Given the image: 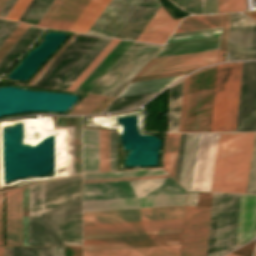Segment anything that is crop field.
Segmentation results:
<instances>
[{"instance_id":"1","label":"crop field","mask_w":256,"mask_h":256,"mask_svg":"<svg viewBox=\"0 0 256 256\" xmlns=\"http://www.w3.org/2000/svg\"><path fill=\"white\" fill-rule=\"evenodd\" d=\"M81 245V175L45 183V246Z\"/></svg>"},{"instance_id":"2","label":"crop field","mask_w":256,"mask_h":256,"mask_svg":"<svg viewBox=\"0 0 256 256\" xmlns=\"http://www.w3.org/2000/svg\"><path fill=\"white\" fill-rule=\"evenodd\" d=\"M254 133H219L211 191L245 193Z\"/></svg>"},{"instance_id":"3","label":"crop field","mask_w":256,"mask_h":256,"mask_svg":"<svg viewBox=\"0 0 256 256\" xmlns=\"http://www.w3.org/2000/svg\"><path fill=\"white\" fill-rule=\"evenodd\" d=\"M241 66L218 65L211 131H235Z\"/></svg>"},{"instance_id":"4","label":"crop field","mask_w":256,"mask_h":256,"mask_svg":"<svg viewBox=\"0 0 256 256\" xmlns=\"http://www.w3.org/2000/svg\"><path fill=\"white\" fill-rule=\"evenodd\" d=\"M161 47L134 42L89 93L116 97Z\"/></svg>"},{"instance_id":"5","label":"crop field","mask_w":256,"mask_h":256,"mask_svg":"<svg viewBox=\"0 0 256 256\" xmlns=\"http://www.w3.org/2000/svg\"><path fill=\"white\" fill-rule=\"evenodd\" d=\"M186 193L171 178L83 184V200Z\"/></svg>"},{"instance_id":"6","label":"crop field","mask_w":256,"mask_h":256,"mask_svg":"<svg viewBox=\"0 0 256 256\" xmlns=\"http://www.w3.org/2000/svg\"><path fill=\"white\" fill-rule=\"evenodd\" d=\"M184 205L83 212V224L183 218Z\"/></svg>"},{"instance_id":"7","label":"crop field","mask_w":256,"mask_h":256,"mask_svg":"<svg viewBox=\"0 0 256 256\" xmlns=\"http://www.w3.org/2000/svg\"><path fill=\"white\" fill-rule=\"evenodd\" d=\"M98 38L78 34L32 85L53 88Z\"/></svg>"},{"instance_id":"8","label":"crop field","mask_w":256,"mask_h":256,"mask_svg":"<svg viewBox=\"0 0 256 256\" xmlns=\"http://www.w3.org/2000/svg\"><path fill=\"white\" fill-rule=\"evenodd\" d=\"M210 208L186 207L181 256H205Z\"/></svg>"},{"instance_id":"9","label":"crop field","mask_w":256,"mask_h":256,"mask_svg":"<svg viewBox=\"0 0 256 256\" xmlns=\"http://www.w3.org/2000/svg\"><path fill=\"white\" fill-rule=\"evenodd\" d=\"M218 133H199L190 190L210 191Z\"/></svg>"},{"instance_id":"10","label":"crop field","mask_w":256,"mask_h":256,"mask_svg":"<svg viewBox=\"0 0 256 256\" xmlns=\"http://www.w3.org/2000/svg\"><path fill=\"white\" fill-rule=\"evenodd\" d=\"M240 195L221 194L215 255L234 249Z\"/></svg>"},{"instance_id":"11","label":"crop field","mask_w":256,"mask_h":256,"mask_svg":"<svg viewBox=\"0 0 256 256\" xmlns=\"http://www.w3.org/2000/svg\"><path fill=\"white\" fill-rule=\"evenodd\" d=\"M218 53L219 50H216L151 59L136 77L200 68L217 63Z\"/></svg>"},{"instance_id":"12","label":"crop field","mask_w":256,"mask_h":256,"mask_svg":"<svg viewBox=\"0 0 256 256\" xmlns=\"http://www.w3.org/2000/svg\"><path fill=\"white\" fill-rule=\"evenodd\" d=\"M140 1L111 0L87 33L114 37Z\"/></svg>"},{"instance_id":"13","label":"crop field","mask_w":256,"mask_h":256,"mask_svg":"<svg viewBox=\"0 0 256 256\" xmlns=\"http://www.w3.org/2000/svg\"><path fill=\"white\" fill-rule=\"evenodd\" d=\"M254 21L231 14L226 61L249 60Z\"/></svg>"},{"instance_id":"14","label":"crop field","mask_w":256,"mask_h":256,"mask_svg":"<svg viewBox=\"0 0 256 256\" xmlns=\"http://www.w3.org/2000/svg\"><path fill=\"white\" fill-rule=\"evenodd\" d=\"M185 194L83 201V211L184 204Z\"/></svg>"},{"instance_id":"15","label":"crop field","mask_w":256,"mask_h":256,"mask_svg":"<svg viewBox=\"0 0 256 256\" xmlns=\"http://www.w3.org/2000/svg\"><path fill=\"white\" fill-rule=\"evenodd\" d=\"M6 246H22V188L6 192Z\"/></svg>"},{"instance_id":"16","label":"crop field","mask_w":256,"mask_h":256,"mask_svg":"<svg viewBox=\"0 0 256 256\" xmlns=\"http://www.w3.org/2000/svg\"><path fill=\"white\" fill-rule=\"evenodd\" d=\"M183 219L83 225V234L182 228Z\"/></svg>"},{"instance_id":"17","label":"crop field","mask_w":256,"mask_h":256,"mask_svg":"<svg viewBox=\"0 0 256 256\" xmlns=\"http://www.w3.org/2000/svg\"><path fill=\"white\" fill-rule=\"evenodd\" d=\"M30 246H44V183L29 187Z\"/></svg>"},{"instance_id":"18","label":"crop field","mask_w":256,"mask_h":256,"mask_svg":"<svg viewBox=\"0 0 256 256\" xmlns=\"http://www.w3.org/2000/svg\"><path fill=\"white\" fill-rule=\"evenodd\" d=\"M159 7L157 0H142L115 37L136 40Z\"/></svg>"},{"instance_id":"19","label":"crop field","mask_w":256,"mask_h":256,"mask_svg":"<svg viewBox=\"0 0 256 256\" xmlns=\"http://www.w3.org/2000/svg\"><path fill=\"white\" fill-rule=\"evenodd\" d=\"M256 232V196L241 195L235 248L250 241Z\"/></svg>"},{"instance_id":"20","label":"crop field","mask_w":256,"mask_h":256,"mask_svg":"<svg viewBox=\"0 0 256 256\" xmlns=\"http://www.w3.org/2000/svg\"><path fill=\"white\" fill-rule=\"evenodd\" d=\"M180 22L174 21L161 7L137 38L139 41L164 44Z\"/></svg>"},{"instance_id":"21","label":"crop field","mask_w":256,"mask_h":256,"mask_svg":"<svg viewBox=\"0 0 256 256\" xmlns=\"http://www.w3.org/2000/svg\"><path fill=\"white\" fill-rule=\"evenodd\" d=\"M90 0H63L45 28L68 31Z\"/></svg>"},{"instance_id":"22","label":"crop field","mask_w":256,"mask_h":256,"mask_svg":"<svg viewBox=\"0 0 256 256\" xmlns=\"http://www.w3.org/2000/svg\"><path fill=\"white\" fill-rule=\"evenodd\" d=\"M180 245L90 251L84 252V256H179Z\"/></svg>"},{"instance_id":"23","label":"crop field","mask_w":256,"mask_h":256,"mask_svg":"<svg viewBox=\"0 0 256 256\" xmlns=\"http://www.w3.org/2000/svg\"><path fill=\"white\" fill-rule=\"evenodd\" d=\"M111 40L100 37L54 88L66 90Z\"/></svg>"},{"instance_id":"24","label":"crop field","mask_w":256,"mask_h":256,"mask_svg":"<svg viewBox=\"0 0 256 256\" xmlns=\"http://www.w3.org/2000/svg\"><path fill=\"white\" fill-rule=\"evenodd\" d=\"M220 36L165 44L157 56L219 48Z\"/></svg>"},{"instance_id":"25","label":"crop field","mask_w":256,"mask_h":256,"mask_svg":"<svg viewBox=\"0 0 256 256\" xmlns=\"http://www.w3.org/2000/svg\"><path fill=\"white\" fill-rule=\"evenodd\" d=\"M125 41V40H124ZM125 42L120 41L116 47L104 58V60L92 71V73L76 89L81 91L86 84L97 74V72L109 61V59L120 49ZM133 42L127 41L121 49L110 59V61L98 72V74L81 91L88 93L92 87L101 79V77L110 69V67L120 58V56L129 48Z\"/></svg>"},{"instance_id":"26","label":"crop field","mask_w":256,"mask_h":256,"mask_svg":"<svg viewBox=\"0 0 256 256\" xmlns=\"http://www.w3.org/2000/svg\"><path fill=\"white\" fill-rule=\"evenodd\" d=\"M44 29L30 26L16 44L0 61V77L22 55Z\"/></svg>"},{"instance_id":"27","label":"crop field","mask_w":256,"mask_h":256,"mask_svg":"<svg viewBox=\"0 0 256 256\" xmlns=\"http://www.w3.org/2000/svg\"><path fill=\"white\" fill-rule=\"evenodd\" d=\"M98 171V130L83 129V172Z\"/></svg>"},{"instance_id":"28","label":"crop field","mask_w":256,"mask_h":256,"mask_svg":"<svg viewBox=\"0 0 256 256\" xmlns=\"http://www.w3.org/2000/svg\"><path fill=\"white\" fill-rule=\"evenodd\" d=\"M198 133L186 134L179 182L189 190Z\"/></svg>"},{"instance_id":"29","label":"crop field","mask_w":256,"mask_h":256,"mask_svg":"<svg viewBox=\"0 0 256 256\" xmlns=\"http://www.w3.org/2000/svg\"><path fill=\"white\" fill-rule=\"evenodd\" d=\"M182 76L129 83L118 97L161 91L173 81L179 79Z\"/></svg>"},{"instance_id":"30","label":"crop field","mask_w":256,"mask_h":256,"mask_svg":"<svg viewBox=\"0 0 256 256\" xmlns=\"http://www.w3.org/2000/svg\"><path fill=\"white\" fill-rule=\"evenodd\" d=\"M110 0H91L69 31L86 33Z\"/></svg>"},{"instance_id":"31","label":"crop field","mask_w":256,"mask_h":256,"mask_svg":"<svg viewBox=\"0 0 256 256\" xmlns=\"http://www.w3.org/2000/svg\"><path fill=\"white\" fill-rule=\"evenodd\" d=\"M180 241H181V238H175V239L133 241V242H120V243L92 244V245H84V251L174 245V244H180Z\"/></svg>"},{"instance_id":"32","label":"crop field","mask_w":256,"mask_h":256,"mask_svg":"<svg viewBox=\"0 0 256 256\" xmlns=\"http://www.w3.org/2000/svg\"><path fill=\"white\" fill-rule=\"evenodd\" d=\"M222 20L223 15L189 16L182 21L174 33L222 26Z\"/></svg>"},{"instance_id":"33","label":"crop field","mask_w":256,"mask_h":256,"mask_svg":"<svg viewBox=\"0 0 256 256\" xmlns=\"http://www.w3.org/2000/svg\"><path fill=\"white\" fill-rule=\"evenodd\" d=\"M183 79L172 86L169 117V132H178Z\"/></svg>"},{"instance_id":"34","label":"crop field","mask_w":256,"mask_h":256,"mask_svg":"<svg viewBox=\"0 0 256 256\" xmlns=\"http://www.w3.org/2000/svg\"><path fill=\"white\" fill-rule=\"evenodd\" d=\"M159 93V92H157ZM157 93L142 94L128 97L116 98L108 107H106L102 112H109L113 110L129 109L132 107L140 106L149 100L151 97Z\"/></svg>"},{"instance_id":"35","label":"crop field","mask_w":256,"mask_h":256,"mask_svg":"<svg viewBox=\"0 0 256 256\" xmlns=\"http://www.w3.org/2000/svg\"><path fill=\"white\" fill-rule=\"evenodd\" d=\"M167 174L162 169L83 174V180Z\"/></svg>"},{"instance_id":"36","label":"crop field","mask_w":256,"mask_h":256,"mask_svg":"<svg viewBox=\"0 0 256 256\" xmlns=\"http://www.w3.org/2000/svg\"><path fill=\"white\" fill-rule=\"evenodd\" d=\"M220 194L213 193L206 256L214 255Z\"/></svg>"},{"instance_id":"37","label":"crop field","mask_w":256,"mask_h":256,"mask_svg":"<svg viewBox=\"0 0 256 256\" xmlns=\"http://www.w3.org/2000/svg\"><path fill=\"white\" fill-rule=\"evenodd\" d=\"M220 33H221V27L197 30V31H190V32H183V33H176V34H172V36L169 38L167 43L196 39V38H203V37H210V36H217V35H220Z\"/></svg>"},{"instance_id":"38","label":"crop field","mask_w":256,"mask_h":256,"mask_svg":"<svg viewBox=\"0 0 256 256\" xmlns=\"http://www.w3.org/2000/svg\"><path fill=\"white\" fill-rule=\"evenodd\" d=\"M109 170V130H99V171Z\"/></svg>"},{"instance_id":"39","label":"crop field","mask_w":256,"mask_h":256,"mask_svg":"<svg viewBox=\"0 0 256 256\" xmlns=\"http://www.w3.org/2000/svg\"><path fill=\"white\" fill-rule=\"evenodd\" d=\"M120 40L113 39L108 46L96 57V59L84 70V72L67 89L74 91L79 84L91 73V71L103 60V58L114 48Z\"/></svg>"},{"instance_id":"40","label":"crop field","mask_w":256,"mask_h":256,"mask_svg":"<svg viewBox=\"0 0 256 256\" xmlns=\"http://www.w3.org/2000/svg\"><path fill=\"white\" fill-rule=\"evenodd\" d=\"M182 233V229L83 235V239Z\"/></svg>"},{"instance_id":"41","label":"crop field","mask_w":256,"mask_h":256,"mask_svg":"<svg viewBox=\"0 0 256 256\" xmlns=\"http://www.w3.org/2000/svg\"><path fill=\"white\" fill-rule=\"evenodd\" d=\"M52 2L53 0H38L24 22L37 25Z\"/></svg>"},{"instance_id":"42","label":"crop field","mask_w":256,"mask_h":256,"mask_svg":"<svg viewBox=\"0 0 256 256\" xmlns=\"http://www.w3.org/2000/svg\"><path fill=\"white\" fill-rule=\"evenodd\" d=\"M105 97L88 95L68 114H88L96 105H98Z\"/></svg>"},{"instance_id":"43","label":"crop field","mask_w":256,"mask_h":256,"mask_svg":"<svg viewBox=\"0 0 256 256\" xmlns=\"http://www.w3.org/2000/svg\"><path fill=\"white\" fill-rule=\"evenodd\" d=\"M28 27L29 25L20 23L18 27L12 32V34L6 39V41L0 46V60L27 30Z\"/></svg>"},{"instance_id":"44","label":"crop field","mask_w":256,"mask_h":256,"mask_svg":"<svg viewBox=\"0 0 256 256\" xmlns=\"http://www.w3.org/2000/svg\"><path fill=\"white\" fill-rule=\"evenodd\" d=\"M181 235L182 234L158 235V236H141V237H124V238H108V239H91V240H83V244L118 242V241H132V240H146V239H160V238H174V237H181Z\"/></svg>"},{"instance_id":"45","label":"crop field","mask_w":256,"mask_h":256,"mask_svg":"<svg viewBox=\"0 0 256 256\" xmlns=\"http://www.w3.org/2000/svg\"><path fill=\"white\" fill-rule=\"evenodd\" d=\"M246 193L256 194V133L254 136V143H253V149H252V156H251Z\"/></svg>"},{"instance_id":"46","label":"crop field","mask_w":256,"mask_h":256,"mask_svg":"<svg viewBox=\"0 0 256 256\" xmlns=\"http://www.w3.org/2000/svg\"><path fill=\"white\" fill-rule=\"evenodd\" d=\"M219 13L240 12L245 10L244 0H218Z\"/></svg>"},{"instance_id":"47","label":"crop field","mask_w":256,"mask_h":256,"mask_svg":"<svg viewBox=\"0 0 256 256\" xmlns=\"http://www.w3.org/2000/svg\"><path fill=\"white\" fill-rule=\"evenodd\" d=\"M22 256H53V247H22Z\"/></svg>"},{"instance_id":"48","label":"crop field","mask_w":256,"mask_h":256,"mask_svg":"<svg viewBox=\"0 0 256 256\" xmlns=\"http://www.w3.org/2000/svg\"><path fill=\"white\" fill-rule=\"evenodd\" d=\"M31 0H17L11 11L8 13L6 18L16 20L20 18L24 10L27 8Z\"/></svg>"},{"instance_id":"49","label":"crop field","mask_w":256,"mask_h":256,"mask_svg":"<svg viewBox=\"0 0 256 256\" xmlns=\"http://www.w3.org/2000/svg\"><path fill=\"white\" fill-rule=\"evenodd\" d=\"M188 79H189V75L184 78V83H183V94H182V105H181V116H180L179 132H183V128H184V118H185V108H186V99H187Z\"/></svg>"},{"instance_id":"50","label":"crop field","mask_w":256,"mask_h":256,"mask_svg":"<svg viewBox=\"0 0 256 256\" xmlns=\"http://www.w3.org/2000/svg\"><path fill=\"white\" fill-rule=\"evenodd\" d=\"M180 134H174L169 173L174 176ZM171 175V176H172Z\"/></svg>"},{"instance_id":"51","label":"crop field","mask_w":256,"mask_h":256,"mask_svg":"<svg viewBox=\"0 0 256 256\" xmlns=\"http://www.w3.org/2000/svg\"><path fill=\"white\" fill-rule=\"evenodd\" d=\"M19 23L8 20L6 24L0 29V45L11 34V32L17 27Z\"/></svg>"},{"instance_id":"52","label":"crop field","mask_w":256,"mask_h":256,"mask_svg":"<svg viewBox=\"0 0 256 256\" xmlns=\"http://www.w3.org/2000/svg\"><path fill=\"white\" fill-rule=\"evenodd\" d=\"M202 14H216L217 0H201Z\"/></svg>"},{"instance_id":"53","label":"crop field","mask_w":256,"mask_h":256,"mask_svg":"<svg viewBox=\"0 0 256 256\" xmlns=\"http://www.w3.org/2000/svg\"><path fill=\"white\" fill-rule=\"evenodd\" d=\"M229 18H230V14H225L219 62H222L223 52L226 50L228 27H229Z\"/></svg>"},{"instance_id":"54","label":"crop field","mask_w":256,"mask_h":256,"mask_svg":"<svg viewBox=\"0 0 256 256\" xmlns=\"http://www.w3.org/2000/svg\"><path fill=\"white\" fill-rule=\"evenodd\" d=\"M110 170H116L115 131L110 130Z\"/></svg>"},{"instance_id":"55","label":"crop field","mask_w":256,"mask_h":256,"mask_svg":"<svg viewBox=\"0 0 256 256\" xmlns=\"http://www.w3.org/2000/svg\"><path fill=\"white\" fill-rule=\"evenodd\" d=\"M184 10L193 14H201L200 0H183Z\"/></svg>"},{"instance_id":"56","label":"crop field","mask_w":256,"mask_h":256,"mask_svg":"<svg viewBox=\"0 0 256 256\" xmlns=\"http://www.w3.org/2000/svg\"><path fill=\"white\" fill-rule=\"evenodd\" d=\"M172 137H173V134H167V137H166V144H165V150H164V161H163V168L166 171L168 169V163H169V157H170V151H171V144H172Z\"/></svg>"},{"instance_id":"57","label":"crop field","mask_w":256,"mask_h":256,"mask_svg":"<svg viewBox=\"0 0 256 256\" xmlns=\"http://www.w3.org/2000/svg\"><path fill=\"white\" fill-rule=\"evenodd\" d=\"M62 0H54V2L52 3V5L50 6V8L47 10V12L45 13V15L43 16V18L40 20V22L38 23V26H42L44 27V25L47 23V21L49 20V18L51 17V15L54 13V11L56 10V8L58 7V5L61 3Z\"/></svg>"},{"instance_id":"58","label":"crop field","mask_w":256,"mask_h":256,"mask_svg":"<svg viewBox=\"0 0 256 256\" xmlns=\"http://www.w3.org/2000/svg\"><path fill=\"white\" fill-rule=\"evenodd\" d=\"M185 134H181L175 178L178 180Z\"/></svg>"},{"instance_id":"59","label":"crop field","mask_w":256,"mask_h":256,"mask_svg":"<svg viewBox=\"0 0 256 256\" xmlns=\"http://www.w3.org/2000/svg\"><path fill=\"white\" fill-rule=\"evenodd\" d=\"M0 246H3L2 193H0Z\"/></svg>"},{"instance_id":"60","label":"crop field","mask_w":256,"mask_h":256,"mask_svg":"<svg viewBox=\"0 0 256 256\" xmlns=\"http://www.w3.org/2000/svg\"><path fill=\"white\" fill-rule=\"evenodd\" d=\"M15 2L16 0H9L8 3L5 5V7L3 8V10L1 11L0 17L5 18V16L10 11V9L12 8Z\"/></svg>"},{"instance_id":"61","label":"crop field","mask_w":256,"mask_h":256,"mask_svg":"<svg viewBox=\"0 0 256 256\" xmlns=\"http://www.w3.org/2000/svg\"><path fill=\"white\" fill-rule=\"evenodd\" d=\"M37 0H32V2L30 3V5L28 6V8L25 10V12L23 13V15L21 16V18L19 19V21L23 22V20L25 19V17L27 16V14L30 12V10L32 9V7L34 6V4L36 3Z\"/></svg>"},{"instance_id":"62","label":"crop field","mask_w":256,"mask_h":256,"mask_svg":"<svg viewBox=\"0 0 256 256\" xmlns=\"http://www.w3.org/2000/svg\"><path fill=\"white\" fill-rule=\"evenodd\" d=\"M54 256H64V247H54Z\"/></svg>"},{"instance_id":"63","label":"crop field","mask_w":256,"mask_h":256,"mask_svg":"<svg viewBox=\"0 0 256 256\" xmlns=\"http://www.w3.org/2000/svg\"><path fill=\"white\" fill-rule=\"evenodd\" d=\"M4 256H12V247H4Z\"/></svg>"},{"instance_id":"64","label":"crop field","mask_w":256,"mask_h":256,"mask_svg":"<svg viewBox=\"0 0 256 256\" xmlns=\"http://www.w3.org/2000/svg\"><path fill=\"white\" fill-rule=\"evenodd\" d=\"M13 256H21V247H13Z\"/></svg>"},{"instance_id":"65","label":"crop field","mask_w":256,"mask_h":256,"mask_svg":"<svg viewBox=\"0 0 256 256\" xmlns=\"http://www.w3.org/2000/svg\"><path fill=\"white\" fill-rule=\"evenodd\" d=\"M175 4H176L179 8L183 9L182 0H175Z\"/></svg>"},{"instance_id":"66","label":"crop field","mask_w":256,"mask_h":256,"mask_svg":"<svg viewBox=\"0 0 256 256\" xmlns=\"http://www.w3.org/2000/svg\"><path fill=\"white\" fill-rule=\"evenodd\" d=\"M8 0H0V11L4 7V5L7 3Z\"/></svg>"},{"instance_id":"67","label":"crop field","mask_w":256,"mask_h":256,"mask_svg":"<svg viewBox=\"0 0 256 256\" xmlns=\"http://www.w3.org/2000/svg\"><path fill=\"white\" fill-rule=\"evenodd\" d=\"M0 256H3V247H0Z\"/></svg>"},{"instance_id":"68","label":"crop field","mask_w":256,"mask_h":256,"mask_svg":"<svg viewBox=\"0 0 256 256\" xmlns=\"http://www.w3.org/2000/svg\"><path fill=\"white\" fill-rule=\"evenodd\" d=\"M226 256H240V255H236V254L230 253V254H228V255H226Z\"/></svg>"},{"instance_id":"69","label":"crop field","mask_w":256,"mask_h":256,"mask_svg":"<svg viewBox=\"0 0 256 256\" xmlns=\"http://www.w3.org/2000/svg\"><path fill=\"white\" fill-rule=\"evenodd\" d=\"M255 256H256V251H255Z\"/></svg>"}]
</instances>
